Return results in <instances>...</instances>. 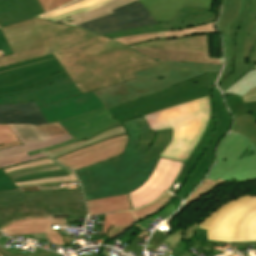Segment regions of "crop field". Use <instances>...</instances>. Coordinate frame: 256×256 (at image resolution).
I'll list each match as a JSON object with an SVG mask.
<instances>
[{
  "label": "crop field",
  "instance_id": "obj_37",
  "mask_svg": "<svg viewBox=\"0 0 256 256\" xmlns=\"http://www.w3.org/2000/svg\"><path fill=\"white\" fill-rule=\"evenodd\" d=\"M227 104L234 116L248 113L249 111L245 108L244 103L241 98L231 97L227 99Z\"/></svg>",
  "mask_w": 256,
  "mask_h": 256
},
{
  "label": "crop field",
  "instance_id": "obj_13",
  "mask_svg": "<svg viewBox=\"0 0 256 256\" xmlns=\"http://www.w3.org/2000/svg\"><path fill=\"white\" fill-rule=\"evenodd\" d=\"M65 74L51 55L0 68V94L11 93Z\"/></svg>",
  "mask_w": 256,
  "mask_h": 256
},
{
  "label": "crop field",
  "instance_id": "obj_17",
  "mask_svg": "<svg viewBox=\"0 0 256 256\" xmlns=\"http://www.w3.org/2000/svg\"><path fill=\"white\" fill-rule=\"evenodd\" d=\"M109 116H111V114L106 109H102L61 121L59 123L73 136L74 139L50 148L29 152L28 154L31 156L40 152L72 144L83 139L88 140L104 130L121 124Z\"/></svg>",
  "mask_w": 256,
  "mask_h": 256
},
{
  "label": "crop field",
  "instance_id": "obj_10",
  "mask_svg": "<svg viewBox=\"0 0 256 256\" xmlns=\"http://www.w3.org/2000/svg\"><path fill=\"white\" fill-rule=\"evenodd\" d=\"M218 177L239 183L256 180V146L245 136L230 132L222 141L218 161L208 178Z\"/></svg>",
  "mask_w": 256,
  "mask_h": 256
},
{
  "label": "crop field",
  "instance_id": "obj_52",
  "mask_svg": "<svg viewBox=\"0 0 256 256\" xmlns=\"http://www.w3.org/2000/svg\"><path fill=\"white\" fill-rule=\"evenodd\" d=\"M79 1H82V0H76V1L71 2V3H69V4L65 5V6H68V5H70V4H73V3H76V2H79ZM65 6H63V7H65ZM61 8H62V7H61Z\"/></svg>",
  "mask_w": 256,
  "mask_h": 256
},
{
  "label": "crop field",
  "instance_id": "obj_39",
  "mask_svg": "<svg viewBox=\"0 0 256 256\" xmlns=\"http://www.w3.org/2000/svg\"><path fill=\"white\" fill-rule=\"evenodd\" d=\"M72 0H39L45 12L53 10L61 5L71 2Z\"/></svg>",
  "mask_w": 256,
  "mask_h": 256
},
{
  "label": "crop field",
  "instance_id": "obj_41",
  "mask_svg": "<svg viewBox=\"0 0 256 256\" xmlns=\"http://www.w3.org/2000/svg\"><path fill=\"white\" fill-rule=\"evenodd\" d=\"M0 254L2 256H25L23 254H9L7 251H5L4 249H2L0 247ZM33 256H58V254L56 253H52V252H48V251H44V250H41L40 252H38L37 254L33 255Z\"/></svg>",
  "mask_w": 256,
  "mask_h": 256
},
{
  "label": "crop field",
  "instance_id": "obj_24",
  "mask_svg": "<svg viewBox=\"0 0 256 256\" xmlns=\"http://www.w3.org/2000/svg\"><path fill=\"white\" fill-rule=\"evenodd\" d=\"M248 3H249V0H242L238 16L231 23H229L225 28L218 25V28L224 38V54H225V58H226L225 69L219 79L218 84L221 83V81L227 75L231 74L234 70L233 56H234V51H235L234 50L235 33L237 31V28L240 26V23L248 10V6H249Z\"/></svg>",
  "mask_w": 256,
  "mask_h": 256
},
{
  "label": "crop field",
  "instance_id": "obj_25",
  "mask_svg": "<svg viewBox=\"0 0 256 256\" xmlns=\"http://www.w3.org/2000/svg\"><path fill=\"white\" fill-rule=\"evenodd\" d=\"M192 30V32H190ZM217 32L214 26V23L198 26V27H192L177 31H169V32H153V33H145V34H139L131 37H125V38H118L114 39L121 43H123L126 46L134 45L154 39H163V38H174V37H184V36H192V35H198V34H206V33H214Z\"/></svg>",
  "mask_w": 256,
  "mask_h": 256
},
{
  "label": "crop field",
  "instance_id": "obj_1",
  "mask_svg": "<svg viewBox=\"0 0 256 256\" xmlns=\"http://www.w3.org/2000/svg\"><path fill=\"white\" fill-rule=\"evenodd\" d=\"M1 30L14 54L1 57L0 67L53 53L81 94L134 79L133 73L160 64L109 38L39 17Z\"/></svg>",
  "mask_w": 256,
  "mask_h": 256
},
{
  "label": "crop field",
  "instance_id": "obj_49",
  "mask_svg": "<svg viewBox=\"0 0 256 256\" xmlns=\"http://www.w3.org/2000/svg\"><path fill=\"white\" fill-rule=\"evenodd\" d=\"M207 243H219V244H254L256 241L253 242H219V241H210L208 240Z\"/></svg>",
  "mask_w": 256,
  "mask_h": 256
},
{
  "label": "crop field",
  "instance_id": "obj_31",
  "mask_svg": "<svg viewBox=\"0 0 256 256\" xmlns=\"http://www.w3.org/2000/svg\"><path fill=\"white\" fill-rule=\"evenodd\" d=\"M173 198L174 196L166 193L154 203L144 208L130 211L134 222L136 223L144 218H148L155 214H158L162 209H164V207L168 204V202Z\"/></svg>",
  "mask_w": 256,
  "mask_h": 256
},
{
  "label": "crop field",
  "instance_id": "obj_42",
  "mask_svg": "<svg viewBox=\"0 0 256 256\" xmlns=\"http://www.w3.org/2000/svg\"><path fill=\"white\" fill-rule=\"evenodd\" d=\"M177 207H178V206L169 203V204L166 206V208H165L163 211H161L157 216H161V217H163V218H166V217L169 216L171 213H173Z\"/></svg>",
  "mask_w": 256,
  "mask_h": 256
},
{
  "label": "crop field",
  "instance_id": "obj_47",
  "mask_svg": "<svg viewBox=\"0 0 256 256\" xmlns=\"http://www.w3.org/2000/svg\"><path fill=\"white\" fill-rule=\"evenodd\" d=\"M138 240L134 239L130 244L127 245L126 249H129L131 251H134L136 253L140 254V247L139 245H136Z\"/></svg>",
  "mask_w": 256,
  "mask_h": 256
},
{
  "label": "crop field",
  "instance_id": "obj_48",
  "mask_svg": "<svg viewBox=\"0 0 256 256\" xmlns=\"http://www.w3.org/2000/svg\"><path fill=\"white\" fill-rule=\"evenodd\" d=\"M245 106L250 111V113L256 117V102L245 103Z\"/></svg>",
  "mask_w": 256,
  "mask_h": 256
},
{
  "label": "crop field",
  "instance_id": "obj_26",
  "mask_svg": "<svg viewBox=\"0 0 256 256\" xmlns=\"http://www.w3.org/2000/svg\"><path fill=\"white\" fill-rule=\"evenodd\" d=\"M134 224L129 211L106 214L104 232L109 239H116Z\"/></svg>",
  "mask_w": 256,
  "mask_h": 256
},
{
  "label": "crop field",
  "instance_id": "obj_23",
  "mask_svg": "<svg viewBox=\"0 0 256 256\" xmlns=\"http://www.w3.org/2000/svg\"><path fill=\"white\" fill-rule=\"evenodd\" d=\"M30 123L33 125L46 124L42 112L35 102L25 104L0 105V124Z\"/></svg>",
  "mask_w": 256,
  "mask_h": 256
},
{
  "label": "crop field",
  "instance_id": "obj_7",
  "mask_svg": "<svg viewBox=\"0 0 256 256\" xmlns=\"http://www.w3.org/2000/svg\"><path fill=\"white\" fill-rule=\"evenodd\" d=\"M210 104V121L198 141L196 147L184 163L180 177L189 179L178 197L185 199L209 170L214 160V150L217 143L227 133L231 126L229 115L220 91L215 88L208 96ZM219 122V124H216Z\"/></svg>",
  "mask_w": 256,
  "mask_h": 256
},
{
  "label": "crop field",
  "instance_id": "obj_50",
  "mask_svg": "<svg viewBox=\"0 0 256 256\" xmlns=\"http://www.w3.org/2000/svg\"><path fill=\"white\" fill-rule=\"evenodd\" d=\"M250 60L255 63V65H252V68L256 67V45L254 46L252 52H251V56H250Z\"/></svg>",
  "mask_w": 256,
  "mask_h": 256
},
{
  "label": "crop field",
  "instance_id": "obj_32",
  "mask_svg": "<svg viewBox=\"0 0 256 256\" xmlns=\"http://www.w3.org/2000/svg\"><path fill=\"white\" fill-rule=\"evenodd\" d=\"M232 131L249 137L256 144V119L250 113L235 117V125Z\"/></svg>",
  "mask_w": 256,
  "mask_h": 256
},
{
  "label": "crop field",
  "instance_id": "obj_36",
  "mask_svg": "<svg viewBox=\"0 0 256 256\" xmlns=\"http://www.w3.org/2000/svg\"><path fill=\"white\" fill-rule=\"evenodd\" d=\"M223 180L221 179H217L216 181L213 180H209L206 179L194 192L193 194L187 199L186 203L184 204L183 208L185 206H187L188 204H190L191 202H193L194 200L198 199L199 197H201L202 195H204L205 193H207L209 190H211L213 187H215L217 184H219L220 182H222ZM182 208V207H181ZM182 208V209H183ZM181 209V210H182ZM181 210H179L177 213H175L171 218H173L175 215H177ZM170 218V219H171ZM169 219V220H170ZM168 220V221H169ZM167 221V222H168Z\"/></svg>",
  "mask_w": 256,
  "mask_h": 256
},
{
  "label": "crop field",
  "instance_id": "obj_30",
  "mask_svg": "<svg viewBox=\"0 0 256 256\" xmlns=\"http://www.w3.org/2000/svg\"><path fill=\"white\" fill-rule=\"evenodd\" d=\"M131 1H134V0H111L104 6L98 8L96 10H93L88 13L83 12V13L74 15V17H76L78 20H76L75 22H72V23H68V24L77 25L80 23H84V22H87V21H90L93 19H97V18L106 16V15L112 14L111 10L121 7Z\"/></svg>",
  "mask_w": 256,
  "mask_h": 256
},
{
  "label": "crop field",
  "instance_id": "obj_5",
  "mask_svg": "<svg viewBox=\"0 0 256 256\" xmlns=\"http://www.w3.org/2000/svg\"><path fill=\"white\" fill-rule=\"evenodd\" d=\"M151 129L173 128V138L161 157L186 161L209 120L207 97L144 116Z\"/></svg>",
  "mask_w": 256,
  "mask_h": 256
},
{
  "label": "crop field",
  "instance_id": "obj_38",
  "mask_svg": "<svg viewBox=\"0 0 256 256\" xmlns=\"http://www.w3.org/2000/svg\"><path fill=\"white\" fill-rule=\"evenodd\" d=\"M19 141L9 125H0V144Z\"/></svg>",
  "mask_w": 256,
  "mask_h": 256
},
{
  "label": "crop field",
  "instance_id": "obj_22",
  "mask_svg": "<svg viewBox=\"0 0 256 256\" xmlns=\"http://www.w3.org/2000/svg\"><path fill=\"white\" fill-rule=\"evenodd\" d=\"M44 13L38 0H0V27Z\"/></svg>",
  "mask_w": 256,
  "mask_h": 256
},
{
  "label": "crop field",
  "instance_id": "obj_40",
  "mask_svg": "<svg viewBox=\"0 0 256 256\" xmlns=\"http://www.w3.org/2000/svg\"><path fill=\"white\" fill-rule=\"evenodd\" d=\"M17 188L0 169V191Z\"/></svg>",
  "mask_w": 256,
  "mask_h": 256
},
{
  "label": "crop field",
  "instance_id": "obj_29",
  "mask_svg": "<svg viewBox=\"0 0 256 256\" xmlns=\"http://www.w3.org/2000/svg\"><path fill=\"white\" fill-rule=\"evenodd\" d=\"M108 1L110 0H84L82 2L73 4L62 9L51 11L49 13L42 15L41 17L55 21L60 18L68 17L83 11H91L95 8L104 5Z\"/></svg>",
  "mask_w": 256,
  "mask_h": 256
},
{
  "label": "crop field",
  "instance_id": "obj_53",
  "mask_svg": "<svg viewBox=\"0 0 256 256\" xmlns=\"http://www.w3.org/2000/svg\"><path fill=\"white\" fill-rule=\"evenodd\" d=\"M0 56H4L1 50H0Z\"/></svg>",
  "mask_w": 256,
  "mask_h": 256
},
{
  "label": "crop field",
  "instance_id": "obj_44",
  "mask_svg": "<svg viewBox=\"0 0 256 256\" xmlns=\"http://www.w3.org/2000/svg\"><path fill=\"white\" fill-rule=\"evenodd\" d=\"M198 224L194 223L192 226H189L184 230L183 239L188 240L193 238V233Z\"/></svg>",
  "mask_w": 256,
  "mask_h": 256
},
{
  "label": "crop field",
  "instance_id": "obj_28",
  "mask_svg": "<svg viewBox=\"0 0 256 256\" xmlns=\"http://www.w3.org/2000/svg\"><path fill=\"white\" fill-rule=\"evenodd\" d=\"M86 203L90 212L89 215L104 214L130 209L129 201L126 195L89 201Z\"/></svg>",
  "mask_w": 256,
  "mask_h": 256
},
{
  "label": "crop field",
  "instance_id": "obj_18",
  "mask_svg": "<svg viewBox=\"0 0 256 256\" xmlns=\"http://www.w3.org/2000/svg\"><path fill=\"white\" fill-rule=\"evenodd\" d=\"M127 139L128 134L109 138L101 143L55 158V160L75 171L122 153Z\"/></svg>",
  "mask_w": 256,
  "mask_h": 256
},
{
  "label": "crop field",
  "instance_id": "obj_11",
  "mask_svg": "<svg viewBox=\"0 0 256 256\" xmlns=\"http://www.w3.org/2000/svg\"><path fill=\"white\" fill-rule=\"evenodd\" d=\"M10 127L20 138L23 145L0 150L1 168L47 158V156L43 153L29 157L26 152L50 147L73 139L58 122L42 126H32L30 124H10Z\"/></svg>",
  "mask_w": 256,
  "mask_h": 256
},
{
  "label": "crop field",
  "instance_id": "obj_12",
  "mask_svg": "<svg viewBox=\"0 0 256 256\" xmlns=\"http://www.w3.org/2000/svg\"><path fill=\"white\" fill-rule=\"evenodd\" d=\"M129 47L157 60L222 65V59L209 58L207 35L154 40Z\"/></svg>",
  "mask_w": 256,
  "mask_h": 256
},
{
  "label": "crop field",
  "instance_id": "obj_34",
  "mask_svg": "<svg viewBox=\"0 0 256 256\" xmlns=\"http://www.w3.org/2000/svg\"><path fill=\"white\" fill-rule=\"evenodd\" d=\"M183 231L179 230L175 233L169 234L156 229L155 233L152 235L147 247L152 249H157L162 241L171 243L169 246L173 248L182 238Z\"/></svg>",
  "mask_w": 256,
  "mask_h": 256
},
{
  "label": "crop field",
  "instance_id": "obj_33",
  "mask_svg": "<svg viewBox=\"0 0 256 256\" xmlns=\"http://www.w3.org/2000/svg\"><path fill=\"white\" fill-rule=\"evenodd\" d=\"M256 87V68L247 72L235 84L229 87L225 92L243 96L248 91Z\"/></svg>",
  "mask_w": 256,
  "mask_h": 256
},
{
  "label": "crop field",
  "instance_id": "obj_43",
  "mask_svg": "<svg viewBox=\"0 0 256 256\" xmlns=\"http://www.w3.org/2000/svg\"><path fill=\"white\" fill-rule=\"evenodd\" d=\"M0 49L3 50L5 55L12 54L11 50L9 49L5 37L2 35L0 30Z\"/></svg>",
  "mask_w": 256,
  "mask_h": 256
},
{
  "label": "crop field",
  "instance_id": "obj_21",
  "mask_svg": "<svg viewBox=\"0 0 256 256\" xmlns=\"http://www.w3.org/2000/svg\"><path fill=\"white\" fill-rule=\"evenodd\" d=\"M157 22L171 21L183 7L211 9L212 0H140Z\"/></svg>",
  "mask_w": 256,
  "mask_h": 256
},
{
  "label": "crop field",
  "instance_id": "obj_46",
  "mask_svg": "<svg viewBox=\"0 0 256 256\" xmlns=\"http://www.w3.org/2000/svg\"><path fill=\"white\" fill-rule=\"evenodd\" d=\"M244 102L256 101V88L243 96Z\"/></svg>",
  "mask_w": 256,
  "mask_h": 256
},
{
  "label": "crop field",
  "instance_id": "obj_8",
  "mask_svg": "<svg viewBox=\"0 0 256 256\" xmlns=\"http://www.w3.org/2000/svg\"><path fill=\"white\" fill-rule=\"evenodd\" d=\"M197 227L207 230L211 240H256V196L245 195L229 201Z\"/></svg>",
  "mask_w": 256,
  "mask_h": 256
},
{
  "label": "crop field",
  "instance_id": "obj_51",
  "mask_svg": "<svg viewBox=\"0 0 256 256\" xmlns=\"http://www.w3.org/2000/svg\"><path fill=\"white\" fill-rule=\"evenodd\" d=\"M21 145V142H15L11 144L1 145L0 149Z\"/></svg>",
  "mask_w": 256,
  "mask_h": 256
},
{
  "label": "crop field",
  "instance_id": "obj_27",
  "mask_svg": "<svg viewBox=\"0 0 256 256\" xmlns=\"http://www.w3.org/2000/svg\"><path fill=\"white\" fill-rule=\"evenodd\" d=\"M125 133H126V130H125L124 126L121 125V126H117L115 128L109 129L107 131H104V132L94 136L93 138H91L88 141L83 140L81 142H78V143H75V144H72V145H68V146H65V147H62V148H58V149H55V150H52V151H48V152H45V153H47L51 157L55 158V157H58V156L76 151L78 149L84 148L86 146L101 142V141H103V140H105L109 137L120 135V134H125Z\"/></svg>",
  "mask_w": 256,
  "mask_h": 256
},
{
  "label": "crop field",
  "instance_id": "obj_19",
  "mask_svg": "<svg viewBox=\"0 0 256 256\" xmlns=\"http://www.w3.org/2000/svg\"><path fill=\"white\" fill-rule=\"evenodd\" d=\"M65 218H32L16 221L1 229L9 236L33 234L35 239H50L51 244L66 246L62 234L58 229H51V225L65 224Z\"/></svg>",
  "mask_w": 256,
  "mask_h": 256
},
{
  "label": "crop field",
  "instance_id": "obj_35",
  "mask_svg": "<svg viewBox=\"0 0 256 256\" xmlns=\"http://www.w3.org/2000/svg\"><path fill=\"white\" fill-rule=\"evenodd\" d=\"M241 0H225L219 25L225 27L237 15Z\"/></svg>",
  "mask_w": 256,
  "mask_h": 256
},
{
  "label": "crop field",
  "instance_id": "obj_16",
  "mask_svg": "<svg viewBox=\"0 0 256 256\" xmlns=\"http://www.w3.org/2000/svg\"><path fill=\"white\" fill-rule=\"evenodd\" d=\"M249 4V11L244 17L236 34L235 70L232 75L226 77L222 83L218 85L222 91L247 72L251 67L250 64H253L249 61V56L256 42V0H250Z\"/></svg>",
  "mask_w": 256,
  "mask_h": 256
},
{
  "label": "crop field",
  "instance_id": "obj_20",
  "mask_svg": "<svg viewBox=\"0 0 256 256\" xmlns=\"http://www.w3.org/2000/svg\"><path fill=\"white\" fill-rule=\"evenodd\" d=\"M210 10H201L195 8H183L182 11L171 21L159 23V25L136 28L126 31L107 34L114 38L130 36L134 34L152 32V31H168L177 30L192 26H198L209 22H214V14L209 13Z\"/></svg>",
  "mask_w": 256,
  "mask_h": 256
},
{
  "label": "crop field",
  "instance_id": "obj_9",
  "mask_svg": "<svg viewBox=\"0 0 256 256\" xmlns=\"http://www.w3.org/2000/svg\"><path fill=\"white\" fill-rule=\"evenodd\" d=\"M216 77L217 75L214 74L201 76L189 82L164 89L107 110L121 121L144 116L208 96L215 87L214 81Z\"/></svg>",
  "mask_w": 256,
  "mask_h": 256
},
{
  "label": "crop field",
  "instance_id": "obj_2",
  "mask_svg": "<svg viewBox=\"0 0 256 256\" xmlns=\"http://www.w3.org/2000/svg\"><path fill=\"white\" fill-rule=\"evenodd\" d=\"M123 124L131 138L125 153L75 173L86 201L127 194L133 209L169 190L183 162L158 157L171 142L172 129L152 132L143 117Z\"/></svg>",
  "mask_w": 256,
  "mask_h": 256
},
{
  "label": "crop field",
  "instance_id": "obj_4",
  "mask_svg": "<svg viewBox=\"0 0 256 256\" xmlns=\"http://www.w3.org/2000/svg\"><path fill=\"white\" fill-rule=\"evenodd\" d=\"M162 64L135 73L136 79L106 89L95 91V95L106 108L143 97L164 88L189 81L209 71L219 73L222 66L193 64L176 61H159ZM166 79L158 81L156 78Z\"/></svg>",
  "mask_w": 256,
  "mask_h": 256
},
{
  "label": "crop field",
  "instance_id": "obj_3",
  "mask_svg": "<svg viewBox=\"0 0 256 256\" xmlns=\"http://www.w3.org/2000/svg\"><path fill=\"white\" fill-rule=\"evenodd\" d=\"M35 101L48 123L104 108L93 92L81 95L67 74L40 86L0 95L2 103Z\"/></svg>",
  "mask_w": 256,
  "mask_h": 256
},
{
  "label": "crop field",
  "instance_id": "obj_15",
  "mask_svg": "<svg viewBox=\"0 0 256 256\" xmlns=\"http://www.w3.org/2000/svg\"><path fill=\"white\" fill-rule=\"evenodd\" d=\"M113 13L112 15L77 26L103 35L115 31L157 24L139 0L115 9Z\"/></svg>",
  "mask_w": 256,
  "mask_h": 256
},
{
  "label": "crop field",
  "instance_id": "obj_45",
  "mask_svg": "<svg viewBox=\"0 0 256 256\" xmlns=\"http://www.w3.org/2000/svg\"><path fill=\"white\" fill-rule=\"evenodd\" d=\"M194 238L200 241L207 242V234L205 230L196 228Z\"/></svg>",
  "mask_w": 256,
  "mask_h": 256
},
{
  "label": "crop field",
  "instance_id": "obj_14",
  "mask_svg": "<svg viewBox=\"0 0 256 256\" xmlns=\"http://www.w3.org/2000/svg\"><path fill=\"white\" fill-rule=\"evenodd\" d=\"M3 171L16 186L77 180L70 170L50 158L4 168Z\"/></svg>",
  "mask_w": 256,
  "mask_h": 256
},
{
  "label": "crop field",
  "instance_id": "obj_6",
  "mask_svg": "<svg viewBox=\"0 0 256 256\" xmlns=\"http://www.w3.org/2000/svg\"><path fill=\"white\" fill-rule=\"evenodd\" d=\"M52 213L86 215L81 189L26 194H20L18 189L0 192V228L16 219Z\"/></svg>",
  "mask_w": 256,
  "mask_h": 256
},
{
  "label": "crop field",
  "instance_id": "obj_54",
  "mask_svg": "<svg viewBox=\"0 0 256 256\" xmlns=\"http://www.w3.org/2000/svg\"><path fill=\"white\" fill-rule=\"evenodd\" d=\"M0 235H3V234L0 233Z\"/></svg>",
  "mask_w": 256,
  "mask_h": 256
}]
</instances>
